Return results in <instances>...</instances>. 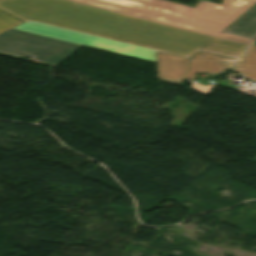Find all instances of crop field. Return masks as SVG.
Masks as SVG:
<instances>
[{"label":"crop field","mask_w":256,"mask_h":256,"mask_svg":"<svg viewBox=\"0 0 256 256\" xmlns=\"http://www.w3.org/2000/svg\"><path fill=\"white\" fill-rule=\"evenodd\" d=\"M256 81V44L254 43L249 50L231 68Z\"/></svg>","instance_id":"crop-field-7"},{"label":"crop field","mask_w":256,"mask_h":256,"mask_svg":"<svg viewBox=\"0 0 256 256\" xmlns=\"http://www.w3.org/2000/svg\"><path fill=\"white\" fill-rule=\"evenodd\" d=\"M158 79L180 84L185 79L189 59L157 52Z\"/></svg>","instance_id":"crop-field-3"},{"label":"crop field","mask_w":256,"mask_h":256,"mask_svg":"<svg viewBox=\"0 0 256 256\" xmlns=\"http://www.w3.org/2000/svg\"><path fill=\"white\" fill-rule=\"evenodd\" d=\"M20 23L22 22L0 11V33Z\"/></svg>","instance_id":"crop-field-8"},{"label":"crop field","mask_w":256,"mask_h":256,"mask_svg":"<svg viewBox=\"0 0 256 256\" xmlns=\"http://www.w3.org/2000/svg\"><path fill=\"white\" fill-rule=\"evenodd\" d=\"M215 38H217V36H216ZM215 38H214V39H215ZM214 39H212L210 42H212ZM210 42H209V43H210ZM209 43H208V44H209ZM208 44H206V45H208ZM206 45H205V46H206ZM205 46H204V47H205ZM204 47H203V48H204ZM203 48H202V49H203ZM200 50H201V49H200ZM200 50H199V51H200Z\"/></svg>","instance_id":"crop-field-10"},{"label":"crop field","mask_w":256,"mask_h":256,"mask_svg":"<svg viewBox=\"0 0 256 256\" xmlns=\"http://www.w3.org/2000/svg\"><path fill=\"white\" fill-rule=\"evenodd\" d=\"M82 45L49 37L10 29L0 34V53L57 67L62 61L80 49Z\"/></svg>","instance_id":"crop-field-2"},{"label":"crop field","mask_w":256,"mask_h":256,"mask_svg":"<svg viewBox=\"0 0 256 256\" xmlns=\"http://www.w3.org/2000/svg\"><path fill=\"white\" fill-rule=\"evenodd\" d=\"M200 1L196 8L165 0H0L25 21L14 29L82 45L103 38L190 58L202 52L236 59L251 39L221 32L256 0Z\"/></svg>","instance_id":"crop-field-1"},{"label":"crop field","mask_w":256,"mask_h":256,"mask_svg":"<svg viewBox=\"0 0 256 256\" xmlns=\"http://www.w3.org/2000/svg\"><path fill=\"white\" fill-rule=\"evenodd\" d=\"M190 82H191V85H190L191 88H193V89H195L197 91H200L202 93L209 94L212 91V89L216 86V83L219 82V81L218 80H214V82H216L214 85L209 83V82H207V83H205L203 85L197 84V83H195L193 81H190Z\"/></svg>","instance_id":"crop-field-9"},{"label":"crop field","mask_w":256,"mask_h":256,"mask_svg":"<svg viewBox=\"0 0 256 256\" xmlns=\"http://www.w3.org/2000/svg\"><path fill=\"white\" fill-rule=\"evenodd\" d=\"M90 47H94L102 50H109V51L129 55V56L157 62L156 51L154 50L127 45V44H123V43H119V42H115L107 39H104L101 42H99L97 45L90 46Z\"/></svg>","instance_id":"crop-field-5"},{"label":"crop field","mask_w":256,"mask_h":256,"mask_svg":"<svg viewBox=\"0 0 256 256\" xmlns=\"http://www.w3.org/2000/svg\"><path fill=\"white\" fill-rule=\"evenodd\" d=\"M233 61V59L199 52L190 60L186 79H194L200 72L214 74L229 67Z\"/></svg>","instance_id":"crop-field-4"},{"label":"crop field","mask_w":256,"mask_h":256,"mask_svg":"<svg viewBox=\"0 0 256 256\" xmlns=\"http://www.w3.org/2000/svg\"><path fill=\"white\" fill-rule=\"evenodd\" d=\"M224 32L253 39L256 35V5Z\"/></svg>","instance_id":"crop-field-6"}]
</instances>
